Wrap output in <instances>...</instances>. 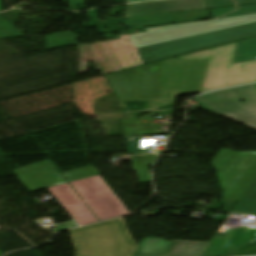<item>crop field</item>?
Segmentation results:
<instances>
[{"instance_id": "3316defc", "label": "crop field", "mask_w": 256, "mask_h": 256, "mask_svg": "<svg viewBox=\"0 0 256 256\" xmlns=\"http://www.w3.org/2000/svg\"><path fill=\"white\" fill-rule=\"evenodd\" d=\"M207 9L203 0H170L128 5L126 16L136 17L166 12Z\"/></svg>"}, {"instance_id": "d9b57169", "label": "crop field", "mask_w": 256, "mask_h": 256, "mask_svg": "<svg viewBox=\"0 0 256 256\" xmlns=\"http://www.w3.org/2000/svg\"><path fill=\"white\" fill-rule=\"evenodd\" d=\"M208 243L176 240L169 255L202 256Z\"/></svg>"}, {"instance_id": "e52e79f7", "label": "crop field", "mask_w": 256, "mask_h": 256, "mask_svg": "<svg viewBox=\"0 0 256 256\" xmlns=\"http://www.w3.org/2000/svg\"><path fill=\"white\" fill-rule=\"evenodd\" d=\"M195 100L212 112L256 129V92L252 85L212 92ZM239 100L244 102L239 103Z\"/></svg>"}, {"instance_id": "22f410ed", "label": "crop field", "mask_w": 256, "mask_h": 256, "mask_svg": "<svg viewBox=\"0 0 256 256\" xmlns=\"http://www.w3.org/2000/svg\"><path fill=\"white\" fill-rule=\"evenodd\" d=\"M160 63L138 68L137 101L159 99Z\"/></svg>"}, {"instance_id": "d8731c3e", "label": "crop field", "mask_w": 256, "mask_h": 256, "mask_svg": "<svg viewBox=\"0 0 256 256\" xmlns=\"http://www.w3.org/2000/svg\"><path fill=\"white\" fill-rule=\"evenodd\" d=\"M70 184L99 221L127 214V209L100 176Z\"/></svg>"}, {"instance_id": "00972430", "label": "crop field", "mask_w": 256, "mask_h": 256, "mask_svg": "<svg viewBox=\"0 0 256 256\" xmlns=\"http://www.w3.org/2000/svg\"><path fill=\"white\" fill-rule=\"evenodd\" d=\"M243 255H256V240L240 247L236 250L234 256H243Z\"/></svg>"}, {"instance_id": "4177f3b9", "label": "crop field", "mask_w": 256, "mask_h": 256, "mask_svg": "<svg viewBox=\"0 0 256 256\" xmlns=\"http://www.w3.org/2000/svg\"><path fill=\"white\" fill-rule=\"evenodd\" d=\"M68 2H69V8H70V10L76 9V8H75V5H84V7H85L84 0H68ZM85 8H86V7H85Z\"/></svg>"}, {"instance_id": "34b2d1b8", "label": "crop field", "mask_w": 256, "mask_h": 256, "mask_svg": "<svg viewBox=\"0 0 256 256\" xmlns=\"http://www.w3.org/2000/svg\"><path fill=\"white\" fill-rule=\"evenodd\" d=\"M237 43L182 56L177 60H210L202 92L256 82V61L231 64Z\"/></svg>"}, {"instance_id": "28ad6ade", "label": "crop field", "mask_w": 256, "mask_h": 256, "mask_svg": "<svg viewBox=\"0 0 256 256\" xmlns=\"http://www.w3.org/2000/svg\"><path fill=\"white\" fill-rule=\"evenodd\" d=\"M256 238V228L246 226L226 233L225 237L214 236L203 256H230L234 250Z\"/></svg>"}, {"instance_id": "d1516ede", "label": "crop field", "mask_w": 256, "mask_h": 256, "mask_svg": "<svg viewBox=\"0 0 256 256\" xmlns=\"http://www.w3.org/2000/svg\"><path fill=\"white\" fill-rule=\"evenodd\" d=\"M48 190L53 196H57L78 224L84 225L97 221L68 183L50 187Z\"/></svg>"}, {"instance_id": "750c4746", "label": "crop field", "mask_w": 256, "mask_h": 256, "mask_svg": "<svg viewBox=\"0 0 256 256\" xmlns=\"http://www.w3.org/2000/svg\"><path fill=\"white\" fill-rule=\"evenodd\" d=\"M0 11H2V9H1V4H0Z\"/></svg>"}, {"instance_id": "dafd665d", "label": "crop field", "mask_w": 256, "mask_h": 256, "mask_svg": "<svg viewBox=\"0 0 256 256\" xmlns=\"http://www.w3.org/2000/svg\"><path fill=\"white\" fill-rule=\"evenodd\" d=\"M209 8L256 3V0H206Z\"/></svg>"}, {"instance_id": "8a807250", "label": "crop field", "mask_w": 256, "mask_h": 256, "mask_svg": "<svg viewBox=\"0 0 256 256\" xmlns=\"http://www.w3.org/2000/svg\"><path fill=\"white\" fill-rule=\"evenodd\" d=\"M209 11L213 20L149 28L146 29L147 33L125 35L117 40L79 46V75L85 73L86 60L90 58V54L99 66V71L103 74L113 73L143 65L135 48L256 22V5Z\"/></svg>"}, {"instance_id": "ac0d7876", "label": "crop field", "mask_w": 256, "mask_h": 256, "mask_svg": "<svg viewBox=\"0 0 256 256\" xmlns=\"http://www.w3.org/2000/svg\"><path fill=\"white\" fill-rule=\"evenodd\" d=\"M76 256H132L137 244L122 218L70 231Z\"/></svg>"}, {"instance_id": "92a150f3", "label": "crop field", "mask_w": 256, "mask_h": 256, "mask_svg": "<svg viewBox=\"0 0 256 256\" xmlns=\"http://www.w3.org/2000/svg\"><path fill=\"white\" fill-rule=\"evenodd\" d=\"M62 175L65 177V179L68 182H70V181H74L82 178L99 175V173L96 171V169L93 166H89L79 170L63 173Z\"/></svg>"}, {"instance_id": "a9b5d70f", "label": "crop field", "mask_w": 256, "mask_h": 256, "mask_svg": "<svg viewBox=\"0 0 256 256\" xmlns=\"http://www.w3.org/2000/svg\"><path fill=\"white\" fill-rule=\"evenodd\" d=\"M129 154H139V136L125 137Z\"/></svg>"}, {"instance_id": "730fd06b", "label": "crop field", "mask_w": 256, "mask_h": 256, "mask_svg": "<svg viewBox=\"0 0 256 256\" xmlns=\"http://www.w3.org/2000/svg\"><path fill=\"white\" fill-rule=\"evenodd\" d=\"M65 224H66L67 226L63 227L62 229H67V228H71V227L77 226V225L74 223L73 220H72V221H67V222H65Z\"/></svg>"}, {"instance_id": "f4fd0767", "label": "crop field", "mask_w": 256, "mask_h": 256, "mask_svg": "<svg viewBox=\"0 0 256 256\" xmlns=\"http://www.w3.org/2000/svg\"><path fill=\"white\" fill-rule=\"evenodd\" d=\"M209 61L162 62L160 100L149 101L151 109H159L173 103L176 93H200Z\"/></svg>"}, {"instance_id": "5a996713", "label": "crop field", "mask_w": 256, "mask_h": 256, "mask_svg": "<svg viewBox=\"0 0 256 256\" xmlns=\"http://www.w3.org/2000/svg\"><path fill=\"white\" fill-rule=\"evenodd\" d=\"M53 166L48 160L13 171L25 187L34 191L66 183Z\"/></svg>"}, {"instance_id": "733c2abd", "label": "crop field", "mask_w": 256, "mask_h": 256, "mask_svg": "<svg viewBox=\"0 0 256 256\" xmlns=\"http://www.w3.org/2000/svg\"><path fill=\"white\" fill-rule=\"evenodd\" d=\"M232 213L256 215V178L234 207Z\"/></svg>"}, {"instance_id": "5142ce71", "label": "crop field", "mask_w": 256, "mask_h": 256, "mask_svg": "<svg viewBox=\"0 0 256 256\" xmlns=\"http://www.w3.org/2000/svg\"><path fill=\"white\" fill-rule=\"evenodd\" d=\"M143 120L147 123H143ZM155 118H140V121H134L133 118H123L125 136L132 135H159L158 124H154Z\"/></svg>"}, {"instance_id": "eef30255", "label": "crop field", "mask_w": 256, "mask_h": 256, "mask_svg": "<svg viewBox=\"0 0 256 256\" xmlns=\"http://www.w3.org/2000/svg\"><path fill=\"white\" fill-rule=\"evenodd\" d=\"M140 1H149V0H127L128 3L140 2Z\"/></svg>"}, {"instance_id": "214f88e0", "label": "crop field", "mask_w": 256, "mask_h": 256, "mask_svg": "<svg viewBox=\"0 0 256 256\" xmlns=\"http://www.w3.org/2000/svg\"><path fill=\"white\" fill-rule=\"evenodd\" d=\"M256 60V38L239 42L233 64Z\"/></svg>"}, {"instance_id": "bc2a9ffb", "label": "crop field", "mask_w": 256, "mask_h": 256, "mask_svg": "<svg viewBox=\"0 0 256 256\" xmlns=\"http://www.w3.org/2000/svg\"><path fill=\"white\" fill-rule=\"evenodd\" d=\"M172 242H165L160 239L145 238L134 255H147V254H165L170 248ZM158 248V249H155Z\"/></svg>"}, {"instance_id": "4a817a6b", "label": "crop field", "mask_w": 256, "mask_h": 256, "mask_svg": "<svg viewBox=\"0 0 256 256\" xmlns=\"http://www.w3.org/2000/svg\"><path fill=\"white\" fill-rule=\"evenodd\" d=\"M157 156L142 155L128 156V161H132L134 171L138 172L140 183H152L148 165H153Z\"/></svg>"}, {"instance_id": "ae1a2a85", "label": "crop field", "mask_w": 256, "mask_h": 256, "mask_svg": "<svg viewBox=\"0 0 256 256\" xmlns=\"http://www.w3.org/2000/svg\"><path fill=\"white\" fill-rule=\"evenodd\" d=\"M148 256H164V255H148Z\"/></svg>"}, {"instance_id": "412701ff", "label": "crop field", "mask_w": 256, "mask_h": 256, "mask_svg": "<svg viewBox=\"0 0 256 256\" xmlns=\"http://www.w3.org/2000/svg\"><path fill=\"white\" fill-rule=\"evenodd\" d=\"M256 36V23L138 48L143 64H149Z\"/></svg>"}, {"instance_id": "dd49c442", "label": "crop field", "mask_w": 256, "mask_h": 256, "mask_svg": "<svg viewBox=\"0 0 256 256\" xmlns=\"http://www.w3.org/2000/svg\"><path fill=\"white\" fill-rule=\"evenodd\" d=\"M222 197L239 201L256 176V152L221 149L212 161Z\"/></svg>"}, {"instance_id": "cbeb9de0", "label": "crop field", "mask_w": 256, "mask_h": 256, "mask_svg": "<svg viewBox=\"0 0 256 256\" xmlns=\"http://www.w3.org/2000/svg\"><path fill=\"white\" fill-rule=\"evenodd\" d=\"M123 108L126 101H136L137 68L107 75Z\"/></svg>"}, {"instance_id": "d3111659", "label": "crop field", "mask_w": 256, "mask_h": 256, "mask_svg": "<svg viewBox=\"0 0 256 256\" xmlns=\"http://www.w3.org/2000/svg\"><path fill=\"white\" fill-rule=\"evenodd\" d=\"M254 89L256 90V84L253 85Z\"/></svg>"}]
</instances>
